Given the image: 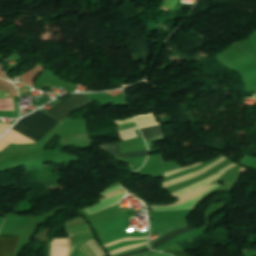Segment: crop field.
<instances>
[{"label":"crop field","instance_id":"1","mask_svg":"<svg viewBox=\"0 0 256 256\" xmlns=\"http://www.w3.org/2000/svg\"><path fill=\"white\" fill-rule=\"evenodd\" d=\"M60 121L38 110L22 118L12 129L40 142V140Z\"/></svg>","mask_w":256,"mask_h":256},{"label":"crop field","instance_id":"2","mask_svg":"<svg viewBox=\"0 0 256 256\" xmlns=\"http://www.w3.org/2000/svg\"><path fill=\"white\" fill-rule=\"evenodd\" d=\"M91 103L93 102L81 94L49 114L61 121L69 116L72 112L86 107Z\"/></svg>","mask_w":256,"mask_h":256},{"label":"crop field","instance_id":"3","mask_svg":"<svg viewBox=\"0 0 256 256\" xmlns=\"http://www.w3.org/2000/svg\"><path fill=\"white\" fill-rule=\"evenodd\" d=\"M19 236L0 234V256H13Z\"/></svg>","mask_w":256,"mask_h":256},{"label":"crop field","instance_id":"4","mask_svg":"<svg viewBox=\"0 0 256 256\" xmlns=\"http://www.w3.org/2000/svg\"><path fill=\"white\" fill-rule=\"evenodd\" d=\"M100 147L103 148L104 150H106L110 155L118 156V157H122V158L140 157V156L147 155V150L133 152V153L120 154V150H119L117 143L102 144V145H100Z\"/></svg>","mask_w":256,"mask_h":256},{"label":"crop field","instance_id":"5","mask_svg":"<svg viewBox=\"0 0 256 256\" xmlns=\"http://www.w3.org/2000/svg\"><path fill=\"white\" fill-rule=\"evenodd\" d=\"M141 132H142L145 140L165 136L161 125L146 128V129H142Z\"/></svg>","mask_w":256,"mask_h":256},{"label":"crop field","instance_id":"6","mask_svg":"<svg viewBox=\"0 0 256 256\" xmlns=\"http://www.w3.org/2000/svg\"><path fill=\"white\" fill-rule=\"evenodd\" d=\"M193 227H189V228H182V229H176L168 234H166L165 236H163L161 239H159L158 241H156L155 243H153V247H151L152 249H155L156 247L162 245L163 243L169 241L170 239L188 231V230H193Z\"/></svg>","mask_w":256,"mask_h":256},{"label":"crop field","instance_id":"7","mask_svg":"<svg viewBox=\"0 0 256 256\" xmlns=\"http://www.w3.org/2000/svg\"><path fill=\"white\" fill-rule=\"evenodd\" d=\"M164 252L172 253L174 256H189L183 252L178 245H175Z\"/></svg>","mask_w":256,"mask_h":256},{"label":"crop field","instance_id":"8","mask_svg":"<svg viewBox=\"0 0 256 256\" xmlns=\"http://www.w3.org/2000/svg\"><path fill=\"white\" fill-rule=\"evenodd\" d=\"M77 95H79V94H71V95H69L68 97H66V98H64L63 100H61V102L60 103H58V104H56L55 106H53L52 108H50L48 111H46V112H51L52 110H54V109H56L57 107H59L60 105H62L63 103H65V102H67L68 100H70L71 98H73V97H75V96H77Z\"/></svg>","mask_w":256,"mask_h":256},{"label":"crop field","instance_id":"9","mask_svg":"<svg viewBox=\"0 0 256 256\" xmlns=\"http://www.w3.org/2000/svg\"><path fill=\"white\" fill-rule=\"evenodd\" d=\"M150 249L147 248V249H144V250H140V251H137V252H134V253H131V254H127V255H123V256H129V255H133V254H136V253H140V252H144V251H149Z\"/></svg>","mask_w":256,"mask_h":256}]
</instances>
